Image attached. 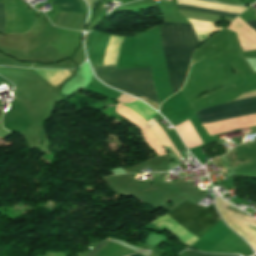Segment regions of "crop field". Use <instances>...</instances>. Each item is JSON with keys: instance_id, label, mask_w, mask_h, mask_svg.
<instances>
[{"instance_id": "1", "label": "crop field", "mask_w": 256, "mask_h": 256, "mask_svg": "<svg viewBox=\"0 0 256 256\" xmlns=\"http://www.w3.org/2000/svg\"><path fill=\"white\" fill-rule=\"evenodd\" d=\"M160 32L169 82L175 93L184 82L192 52L200 44L190 24L164 22Z\"/></svg>"}, {"instance_id": "2", "label": "crop field", "mask_w": 256, "mask_h": 256, "mask_svg": "<svg viewBox=\"0 0 256 256\" xmlns=\"http://www.w3.org/2000/svg\"><path fill=\"white\" fill-rule=\"evenodd\" d=\"M116 65L93 68L99 80L108 86L132 94L158 110L150 68L114 71Z\"/></svg>"}, {"instance_id": "3", "label": "crop field", "mask_w": 256, "mask_h": 256, "mask_svg": "<svg viewBox=\"0 0 256 256\" xmlns=\"http://www.w3.org/2000/svg\"><path fill=\"white\" fill-rule=\"evenodd\" d=\"M167 216L200 238L221 220L213 204L203 210L186 200Z\"/></svg>"}, {"instance_id": "4", "label": "crop field", "mask_w": 256, "mask_h": 256, "mask_svg": "<svg viewBox=\"0 0 256 256\" xmlns=\"http://www.w3.org/2000/svg\"><path fill=\"white\" fill-rule=\"evenodd\" d=\"M256 106V96L249 97V98H244L236 101H231L227 104L223 105H218L206 109H202L198 111L196 116L199 118V120L230 113V112H235L251 107Z\"/></svg>"}, {"instance_id": "5", "label": "crop field", "mask_w": 256, "mask_h": 256, "mask_svg": "<svg viewBox=\"0 0 256 256\" xmlns=\"http://www.w3.org/2000/svg\"><path fill=\"white\" fill-rule=\"evenodd\" d=\"M178 9L186 10V11H192V12H198V13H204V14H210V15H216V16L233 17V18H236V16L238 15L237 13H230V12H224V11L196 8V7L183 6V5H178Z\"/></svg>"}, {"instance_id": "6", "label": "crop field", "mask_w": 256, "mask_h": 256, "mask_svg": "<svg viewBox=\"0 0 256 256\" xmlns=\"http://www.w3.org/2000/svg\"><path fill=\"white\" fill-rule=\"evenodd\" d=\"M60 10L81 12L84 13V9L79 0H54Z\"/></svg>"}, {"instance_id": "7", "label": "crop field", "mask_w": 256, "mask_h": 256, "mask_svg": "<svg viewBox=\"0 0 256 256\" xmlns=\"http://www.w3.org/2000/svg\"><path fill=\"white\" fill-rule=\"evenodd\" d=\"M4 26H5V15L4 9L2 5V1L0 3V32L4 33Z\"/></svg>"}, {"instance_id": "8", "label": "crop field", "mask_w": 256, "mask_h": 256, "mask_svg": "<svg viewBox=\"0 0 256 256\" xmlns=\"http://www.w3.org/2000/svg\"><path fill=\"white\" fill-rule=\"evenodd\" d=\"M184 256H228V255L204 254L201 252H195V251L188 250V252Z\"/></svg>"}, {"instance_id": "9", "label": "crop field", "mask_w": 256, "mask_h": 256, "mask_svg": "<svg viewBox=\"0 0 256 256\" xmlns=\"http://www.w3.org/2000/svg\"><path fill=\"white\" fill-rule=\"evenodd\" d=\"M106 243L107 241L103 240L87 256H94Z\"/></svg>"}, {"instance_id": "10", "label": "crop field", "mask_w": 256, "mask_h": 256, "mask_svg": "<svg viewBox=\"0 0 256 256\" xmlns=\"http://www.w3.org/2000/svg\"><path fill=\"white\" fill-rule=\"evenodd\" d=\"M248 25H250L255 31H256V21L252 22H246Z\"/></svg>"}, {"instance_id": "11", "label": "crop field", "mask_w": 256, "mask_h": 256, "mask_svg": "<svg viewBox=\"0 0 256 256\" xmlns=\"http://www.w3.org/2000/svg\"><path fill=\"white\" fill-rule=\"evenodd\" d=\"M241 201H242V200L235 198V201H234V202H240V203H241Z\"/></svg>"}, {"instance_id": "12", "label": "crop field", "mask_w": 256, "mask_h": 256, "mask_svg": "<svg viewBox=\"0 0 256 256\" xmlns=\"http://www.w3.org/2000/svg\"><path fill=\"white\" fill-rule=\"evenodd\" d=\"M133 256H140V255L136 254V255H133Z\"/></svg>"}, {"instance_id": "13", "label": "crop field", "mask_w": 256, "mask_h": 256, "mask_svg": "<svg viewBox=\"0 0 256 256\" xmlns=\"http://www.w3.org/2000/svg\"><path fill=\"white\" fill-rule=\"evenodd\" d=\"M201 139V138H200ZM203 142V141H202ZM204 144V143H203Z\"/></svg>"}, {"instance_id": "14", "label": "crop field", "mask_w": 256, "mask_h": 256, "mask_svg": "<svg viewBox=\"0 0 256 256\" xmlns=\"http://www.w3.org/2000/svg\"><path fill=\"white\" fill-rule=\"evenodd\" d=\"M247 204V203H246Z\"/></svg>"}]
</instances>
